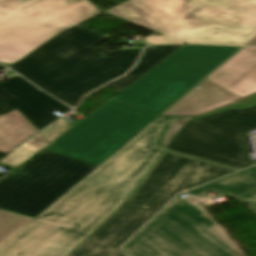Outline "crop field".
Masks as SVG:
<instances>
[{"label": "crop field", "mask_w": 256, "mask_h": 256, "mask_svg": "<svg viewBox=\"0 0 256 256\" xmlns=\"http://www.w3.org/2000/svg\"><path fill=\"white\" fill-rule=\"evenodd\" d=\"M159 117L0 247V256H66L127 197L163 150Z\"/></svg>", "instance_id": "obj_1"}, {"label": "crop field", "mask_w": 256, "mask_h": 256, "mask_svg": "<svg viewBox=\"0 0 256 256\" xmlns=\"http://www.w3.org/2000/svg\"><path fill=\"white\" fill-rule=\"evenodd\" d=\"M104 14L162 35L148 44L243 45L256 35V0H130Z\"/></svg>", "instance_id": "obj_2"}, {"label": "crop field", "mask_w": 256, "mask_h": 256, "mask_svg": "<svg viewBox=\"0 0 256 256\" xmlns=\"http://www.w3.org/2000/svg\"><path fill=\"white\" fill-rule=\"evenodd\" d=\"M108 38L77 25L9 67L76 107L84 94L125 73L143 50L106 51L95 46ZM100 51L109 56L95 55Z\"/></svg>", "instance_id": "obj_3"}, {"label": "crop field", "mask_w": 256, "mask_h": 256, "mask_svg": "<svg viewBox=\"0 0 256 256\" xmlns=\"http://www.w3.org/2000/svg\"><path fill=\"white\" fill-rule=\"evenodd\" d=\"M236 170L164 151L123 205L68 256H127L111 247L120 246L175 194Z\"/></svg>", "instance_id": "obj_4"}, {"label": "crop field", "mask_w": 256, "mask_h": 256, "mask_svg": "<svg viewBox=\"0 0 256 256\" xmlns=\"http://www.w3.org/2000/svg\"><path fill=\"white\" fill-rule=\"evenodd\" d=\"M99 13L88 0H0V62L9 66Z\"/></svg>", "instance_id": "obj_5"}, {"label": "crop field", "mask_w": 256, "mask_h": 256, "mask_svg": "<svg viewBox=\"0 0 256 256\" xmlns=\"http://www.w3.org/2000/svg\"><path fill=\"white\" fill-rule=\"evenodd\" d=\"M239 48L183 46L113 99L158 115Z\"/></svg>", "instance_id": "obj_6"}, {"label": "crop field", "mask_w": 256, "mask_h": 256, "mask_svg": "<svg viewBox=\"0 0 256 256\" xmlns=\"http://www.w3.org/2000/svg\"><path fill=\"white\" fill-rule=\"evenodd\" d=\"M95 168L41 149L0 179V207L35 218Z\"/></svg>", "instance_id": "obj_7"}, {"label": "crop field", "mask_w": 256, "mask_h": 256, "mask_svg": "<svg viewBox=\"0 0 256 256\" xmlns=\"http://www.w3.org/2000/svg\"><path fill=\"white\" fill-rule=\"evenodd\" d=\"M213 225L177 196L124 249L133 256H238L203 230Z\"/></svg>", "instance_id": "obj_8"}, {"label": "crop field", "mask_w": 256, "mask_h": 256, "mask_svg": "<svg viewBox=\"0 0 256 256\" xmlns=\"http://www.w3.org/2000/svg\"><path fill=\"white\" fill-rule=\"evenodd\" d=\"M158 117L111 99L43 149L99 166Z\"/></svg>", "instance_id": "obj_9"}, {"label": "crop field", "mask_w": 256, "mask_h": 256, "mask_svg": "<svg viewBox=\"0 0 256 256\" xmlns=\"http://www.w3.org/2000/svg\"><path fill=\"white\" fill-rule=\"evenodd\" d=\"M244 119H256V106L189 120L167 149L246 168L251 164L234 122Z\"/></svg>", "instance_id": "obj_10"}, {"label": "crop field", "mask_w": 256, "mask_h": 256, "mask_svg": "<svg viewBox=\"0 0 256 256\" xmlns=\"http://www.w3.org/2000/svg\"><path fill=\"white\" fill-rule=\"evenodd\" d=\"M0 87L20 99L11 105L0 99V116L17 108L38 130L59 117L52 112L63 114L71 109L48 94L38 91L39 89L18 75L1 83Z\"/></svg>", "instance_id": "obj_11"}, {"label": "crop field", "mask_w": 256, "mask_h": 256, "mask_svg": "<svg viewBox=\"0 0 256 256\" xmlns=\"http://www.w3.org/2000/svg\"><path fill=\"white\" fill-rule=\"evenodd\" d=\"M206 79L241 98L256 93V49L243 48Z\"/></svg>", "instance_id": "obj_12"}, {"label": "crop field", "mask_w": 256, "mask_h": 256, "mask_svg": "<svg viewBox=\"0 0 256 256\" xmlns=\"http://www.w3.org/2000/svg\"><path fill=\"white\" fill-rule=\"evenodd\" d=\"M197 86L161 116L196 115L240 99L206 79Z\"/></svg>", "instance_id": "obj_13"}, {"label": "crop field", "mask_w": 256, "mask_h": 256, "mask_svg": "<svg viewBox=\"0 0 256 256\" xmlns=\"http://www.w3.org/2000/svg\"><path fill=\"white\" fill-rule=\"evenodd\" d=\"M37 131L17 109L0 117V151H10Z\"/></svg>", "instance_id": "obj_14"}, {"label": "crop field", "mask_w": 256, "mask_h": 256, "mask_svg": "<svg viewBox=\"0 0 256 256\" xmlns=\"http://www.w3.org/2000/svg\"><path fill=\"white\" fill-rule=\"evenodd\" d=\"M215 188L233 196L256 188V173L247 170L209 183L195 190L188 192L195 196L207 190Z\"/></svg>", "instance_id": "obj_15"}, {"label": "crop field", "mask_w": 256, "mask_h": 256, "mask_svg": "<svg viewBox=\"0 0 256 256\" xmlns=\"http://www.w3.org/2000/svg\"><path fill=\"white\" fill-rule=\"evenodd\" d=\"M182 46L183 45H165L146 48L138 64L129 73L142 76Z\"/></svg>", "instance_id": "obj_16"}, {"label": "crop field", "mask_w": 256, "mask_h": 256, "mask_svg": "<svg viewBox=\"0 0 256 256\" xmlns=\"http://www.w3.org/2000/svg\"><path fill=\"white\" fill-rule=\"evenodd\" d=\"M48 143L50 142L39 133L3 158L0 162L15 168Z\"/></svg>", "instance_id": "obj_17"}, {"label": "crop field", "mask_w": 256, "mask_h": 256, "mask_svg": "<svg viewBox=\"0 0 256 256\" xmlns=\"http://www.w3.org/2000/svg\"><path fill=\"white\" fill-rule=\"evenodd\" d=\"M32 219L0 208V246Z\"/></svg>", "instance_id": "obj_18"}, {"label": "crop field", "mask_w": 256, "mask_h": 256, "mask_svg": "<svg viewBox=\"0 0 256 256\" xmlns=\"http://www.w3.org/2000/svg\"><path fill=\"white\" fill-rule=\"evenodd\" d=\"M188 204H190L192 207L197 209L199 212H201L203 215L208 217L210 220H212L208 214L197 204H195L191 199L185 200ZM213 221V220H212ZM214 222V221H213ZM215 223V222H214ZM208 233L213 235L215 238H217L219 241H221L223 244L228 246L230 249H232L234 252H236L240 256H245L242 251L231 241V239L219 228L218 225H215L213 227L205 229Z\"/></svg>", "instance_id": "obj_19"}, {"label": "crop field", "mask_w": 256, "mask_h": 256, "mask_svg": "<svg viewBox=\"0 0 256 256\" xmlns=\"http://www.w3.org/2000/svg\"><path fill=\"white\" fill-rule=\"evenodd\" d=\"M187 121L188 119L185 118H177L165 123V126L157 140L158 147L166 148L172 138L177 134V132L184 126Z\"/></svg>", "instance_id": "obj_20"}, {"label": "crop field", "mask_w": 256, "mask_h": 256, "mask_svg": "<svg viewBox=\"0 0 256 256\" xmlns=\"http://www.w3.org/2000/svg\"><path fill=\"white\" fill-rule=\"evenodd\" d=\"M66 123L67 122L61 118L40 133L51 142L72 127Z\"/></svg>", "instance_id": "obj_21"}, {"label": "crop field", "mask_w": 256, "mask_h": 256, "mask_svg": "<svg viewBox=\"0 0 256 256\" xmlns=\"http://www.w3.org/2000/svg\"><path fill=\"white\" fill-rule=\"evenodd\" d=\"M138 78H139V76L127 74V75L123 76L121 79L115 80V81L105 85L104 87H110V88H114L117 90H121V89L127 87L129 84H131L133 81H135Z\"/></svg>", "instance_id": "obj_22"}, {"label": "crop field", "mask_w": 256, "mask_h": 256, "mask_svg": "<svg viewBox=\"0 0 256 256\" xmlns=\"http://www.w3.org/2000/svg\"><path fill=\"white\" fill-rule=\"evenodd\" d=\"M235 122L237 124L238 130L240 132L241 138H242L244 146H245L243 137L248 136V131L256 128V120H244V121H235ZM245 148H246V146H245ZM246 151H247V149H246ZM247 154H248V152H247Z\"/></svg>", "instance_id": "obj_23"}, {"label": "crop field", "mask_w": 256, "mask_h": 256, "mask_svg": "<svg viewBox=\"0 0 256 256\" xmlns=\"http://www.w3.org/2000/svg\"><path fill=\"white\" fill-rule=\"evenodd\" d=\"M256 212V189L236 196Z\"/></svg>", "instance_id": "obj_24"}, {"label": "crop field", "mask_w": 256, "mask_h": 256, "mask_svg": "<svg viewBox=\"0 0 256 256\" xmlns=\"http://www.w3.org/2000/svg\"><path fill=\"white\" fill-rule=\"evenodd\" d=\"M256 103V95L255 96H252L250 98H247V99H244L242 101H239V102H236V103H233V104H230L228 106H225V107H234V108H242V107H248V106H252ZM225 107H222V108H219L217 110H214V111H211L209 113H206L204 115H207V114H210V113H213V112H216L218 110H221ZM204 115H201V116H204ZM200 117V116H199Z\"/></svg>", "instance_id": "obj_25"}, {"label": "crop field", "mask_w": 256, "mask_h": 256, "mask_svg": "<svg viewBox=\"0 0 256 256\" xmlns=\"http://www.w3.org/2000/svg\"><path fill=\"white\" fill-rule=\"evenodd\" d=\"M0 98L4 99L5 101L9 102L10 104L18 100L13 95L5 91L4 89L0 88Z\"/></svg>", "instance_id": "obj_26"}, {"label": "crop field", "mask_w": 256, "mask_h": 256, "mask_svg": "<svg viewBox=\"0 0 256 256\" xmlns=\"http://www.w3.org/2000/svg\"><path fill=\"white\" fill-rule=\"evenodd\" d=\"M247 45L256 46V37L254 39H252Z\"/></svg>", "instance_id": "obj_27"}, {"label": "crop field", "mask_w": 256, "mask_h": 256, "mask_svg": "<svg viewBox=\"0 0 256 256\" xmlns=\"http://www.w3.org/2000/svg\"><path fill=\"white\" fill-rule=\"evenodd\" d=\"M249 169H252V170H255L256 171V166L252 167V168H249Z\"/></svg>", "instance_id": "obj_28"}, {"label": "crop field", "mask_w": 256, "mask_h": 256, "mask_svg": "<svg viewBox=\"0 0 256 256\" xmlns=\"http://www.w3.org/2000/svg\"><path fill=\"white\" fill-rule=\"evenodd\" d=\"M117 248H118V247H114V248H112V249H113V250H118ZM118 251H120V250H118Z\"/></svg>", "instance_id": "obj_29"}]
</instances>
